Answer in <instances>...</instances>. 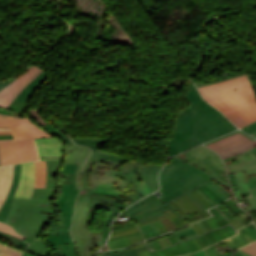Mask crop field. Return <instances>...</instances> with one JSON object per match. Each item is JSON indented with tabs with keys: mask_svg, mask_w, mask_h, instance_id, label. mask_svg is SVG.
<instances>
[{
	"mask_svg": "<svg viewBox=\"0 0 256 256\" xmlns=\"http://www.w3.org/2000/svg\"><path fill=\"white\" fill-rule=\"evenodd\" d=\"M199 189H201L205 194L208 195V197L213 200L216 204L224 201L222 198H220L215 192H213L208 186H206L205 184L198 187Z\"/></svg>",
	"mask_w": 256,
	"mask_h": 256,
	"instance_id": "d3111659",
	"label": "crop field"
},
{
	"mask_svg": "<svg viewBox=\"0 0 256 256\" xmlns=\"http://www.w3.org/2000/svg\"><path fill=\"white\" fill-rule=\"evenodd\" d=\"M186 99L189 106L178 113L173 136L169 140V156L237 129L201 98L194 84L189 85Z\"/></svg>",
	"mask_w": 256,
	"mask_h": 256,
	"instance_id": "8a807250",
	"label": "crop field"
},
{
	"mask_svg": "<svg viewBox=\"0 0 256 256\" xmlns=\"http://www.w3.org/2000/svg\"><path fill=\"white\" fill-rule=\"evenodd\" d=\"M15 141V140H0V142Z\"/></svg>",
	"mask_w": 256,
	"mask_h": 256,
	"instance_id": "db79e9e6",
	"label": "crop field"
},
{
	"mask_svg": "<svg viewBox=\"0 0 256 256\" xmlns=\"http://www.w3.org/2000/svg\"><path fill=\"white\" fill-rule=\"evenodd\" d=\"M24 256H31V255H29V254L25 253V255H24Z\"/></svg>",
	"mask_w": 256,
	"mask_h": 256,
	"instance_id": "78b8030e",
	"label": "crop field"
},
{
	"mask_svg": "<svg viewBox=\"0 0 256 256\" xmlns=\"http://www.w3.org/2000/svg\"><path fill=\"white\" fill-rule=\"evenodd\" d=\"M106 159L117 161V162H121V163H123V162H125L127 160V159H123V158H121V157H119L117 155L106 153V152L98 150V151L92 153V155L89 158V160L87 161V163H86L82 173H85V171H86V169H87V167H88L90 162H94V163H97V164H96V166L94 167V169L92 171V175H95L96 169ZM92 175H91V183H92Z\"/></svg>",
	"mask_w": 256,
	"mask_h": 256,
	"instance_id": "92a150f3",
	"label": "crop field"
},
{
	"mask_svg": "<svg viewBox=\"0 0 256 256\" xmlns=\"http://www.w3.org/2000/svg\"><path fill=\"white\" fill-rule=\"evenodd\" d=\"M244 248H246V249H248V250H250V251H252L256 254V247L254 245L250 244V245H248Z\"/></svg>",
	"mask_w": 256,
	"mask_h": 256,
	"instance_id": "5d738f31",
	"label": "crop field"
},
{
	"mask_svg": "<svg viewBox=\"0 0 256 256\" xmlns=\"http://www.w3.org/2000/svg\"><path fill=\"white\" fill-rule=\"evenodd\" d=\"M247 202H249L250 206L243 207L244 210L251 213L256 211V198L255 197H247Z\"/></svg>",
	"mask_w": 256,
	"mask_h": 256,
	"instance_id": "d32e631a",
	"label": "crop field"
},
{
	"mask_svg": "<svg viewBox=\"0 0 256 256\" xmlns=\"http://www.w3.org/2000/svg\"><path fill=\"white\" fill-rule=\"evenodd\" d=\"M41 128L45 129L47 132H49L53 137H60L62 139V141L65 144H74L68 137L67 135H65L64 133H62L61 131H59L57 128H55L52 125H46V126H42Z\"/></svg>",
	"mask_w": 256,
	"mask_h": 256,
	"instance_id": "730fd06b",
	"label": "crop field"
},
{
	"mask_svg": "<svg viewBox=\"0 0 256 256\" xmlns=\"http://www.w3.org/2000/svg\"><path fill=\"white\" fill-rule=\"evenodd\" d=\"M245 75H246V77H247V79H248L250 85L252 86L253 83H252V81H251L250 75H249V74H245ZM241 76H243V75H241ZM236 77H240V76H236ZM236 77H232V78H236ZM228 79H231V78H228ZM225 80H226V79H225ZM221 81H223V80H221ZM221 81H218V82H221ZM213 83H217V82H213ZM213 83H209V84H213ZM195 84H196L197 87L204 86V85H209V84H204L203 82L195 83ZM251 89H252V88H251ZM252 91H253V90H252ZM253 94H254V92H253ZM254 101H255V103H256L255 95H254Z\"/></svg>",
	"mask_w": 256,
	"mask_h": 256,
	"instance_id": "e1f06a70",
	"label": "crop field"
},
{
	"mask_svg": "<svg viewBox=\"0 0 256 256\" xmlns=\"http://www.w3.org/2000/svg\"><path fill=\"white\" fill-rule=\"evenodd\" d=\"M43 70H39L34 76H32L21 88H19L11 97L10 99L7 101V103L4 105V109L7 108V106L12 102V100L15 98V96L20 92V90L27 84L29 83L34 77H36L40 72H42ZM23 90V89H22ZM21 90V91H22Z\"/></svg>",
	"mask_w": 256,
	"mask_h": 256,
	"instance_id": "5866460e",
	"label": "crop field"
},
{
	"mask_svg": "<svg viewBox=\"0 0 256 256\" xmlns=\"http://www.w3.org/2000/svg\"><path fill=\"white\" fill-rule=\"evenodd\" d=\"M240 250H242V251H244V252H246V253H248V254H250V255H252V256H256L255 254H253L252 252H250V251H248V250H246V249H244V248H242V249H240Z\"/></svg>",
	"mask_w": 256,
	"mask_h": 256,
	"instance_id": "73cf0c24",
	"label": "crop field"
},
{
	"mask_svg": "<svg viewBox=\"0 0 256 256\" xmlns=\"http://www.w3.org/2000/svg\"><path fill=\"white\" fill-rule=\"evenodd\" d=\"M117 190L120 193L118 196L93 195L88 204L89 207L104 208V209L111 210L104 222V227H103L104 243L107 239L108 233L110 232V226L112 224L113 219L116 217L118 213H120L122 210L128 207L121 202L125 200L128 202L132 201L124 197L123 196L124 193L120 189H117Z\"/></svg>",
	"mask_w": 256,
	"mask_h": 256,
	"instance_id": "28ad6ade",
	"label": "crop field"
},
{
	"mask_svg": "<svg viewBox=\"0 0 256 256\" xmlns=\"http://www.w3.org/2000/svg\"><path fill=\"white\" fill-rule=\"evenodd\" d=\"M87 203L77 202L71 233L77 245L79 256H92L104 245L102 233L93 235L89 230L95 208L86 207Z\"/></svg>",
	"mask_w": 256,
	"mask_h": 256,
	"instance_id": "e52e79f7",
	"label": "crop field"
},
{
	"mask_svg": "<svg viewBox=\"0 0 256 256\" xmlns=\"http://www.w3.org/2000/svg\"><path fill=\"white\" fill-rule=\"evenodd\" d=\"M46 75L47 72L44 70L41 74H39L35 79H33L28 85H26L23 88V90L16 96V98L13 100V102L8 106L6 110L0 108V113L24 117V114L18 113L19 110L24 104L27 96L31 93L35 86L44 79Z\"/></svg>",
	"mask_w": 256,
	"mask_h": 256,
	"instance_id": "22f410ed",
	"label": "crop field"
},
{
	"mask_svg": "<svg viewBox=\"0 0 256 256\" xmlns=\"http://www.w3.org/2000/svg\"><path fill=\"white\" fill-rule=\"evenodd\" d=\"M0 131H10L9 128H0Z\"/></svg>",
	"mask_w": 256,
	"mask_h": 256,
	"instance_id": "1d79db26",
	"label": "crop field"
},
{
	"mask_svg": "<svg viewBox=\"0 0 256 256\" xmlns=\"http://www.w3.org/2000/svg\"><path fill=\"white\" fill-rule=\"evenodd\" d=\"M46 78H47V76H46ZM46 78H45L43 81H45ZM43 81H42V82H43ZM42 82H40V83L37 85V87L40 86ZM37 87H36V88H37ZM36 88H35V89H36ZM35 89L32 91V93L35 91ZM32 93L29 95V97L32 95ZM29 97H28L27 101L25 102L24 106L22 107V109L20 110L19 113H24V110H25V108H26V106H27Z\"/></svg>",
	"mask_w": 256,
	"mask_h": 256,
	"instance_id": "03da06ac",
	"label": "crop field"
},
{
	"mask_svg": "<svg viewBox=\"0 0 256 256\" xmlns=\"http://www.w3.org/2000/svg\"><path fill=\"white\" fill-rule=\"evenodd\" d=\"M127 187H128V188L130 189V191H131L130 193H128V194L125 195L127 198H129V199L132 200L133 202H135V201L141 199V198L134 192V190L132 189V187L130 186V184L127 185Z\"/></svg>",
	"mask_w": 256,
	"mask_h": 256,
	"instance_id": "028f5c9d",
	"label": "crop field"
},
{
	"mask_svg": "<svg viewBox=\"0 0 256 256\" xmlns=\"http://www.w3.org/2000/svg\"><path fill=\"white\" fill-rule=\"evenodd\" d=\"M228 173L256 169V156L249 152L238 158L224 162Z\"/></svg>",
	"mask_w": 256,
	"mask_h": 256,
	"instance_id": "733c2abd",
	"label": "crop field"
},
{
	"mask_svg": "<svg viewBox=\"0 0 256 256\" xmlns=\"http://www.w3.org/2000/svg\"><path fill=\"white\" fill-rule=\"evenodd\" d=\"M78 144L88 145L93 151L97 150L106 139L98 138H72Z\"/></svg>",
	"mask_w": 256,
	"mask_h": 256,
	"instance_id": "a9b5d70f",
	"label": "crop field"
},
{
	"mask_svg": "<svg viewBox=\"0 0 256 256\" xmlns=\"http://www.w3.org/2000/svg\"><path fill=\"white\" fill-rule=\"evenodd\" d=\"M40 68L36 66H30V68L27 70L25 74H23L21 77L13 81L11 84H9L7 88L9 91L6 92L1 98H0V107L5 104V102L8 100V98L19 88L21 87L32 75H34Z\"/></svg>",
	"mask_w": 256,
	"mask_h": 256,
	"instance_id": "4a817a6b",
	"label": "crop field"
},
{
	"mask_svg": "<svg viewBox=\"0 0 256 256\" xmlns=\"http://www.w3.org/2000/svg\"><path fill=\"white\" fill-rule=\"evenodd\" d=\"M146 248H147V246L144 245L140 248H135L133 250L123 251V252H119V253L105 254V255H100V256H137L135 251L146 249Z\"/></svg>",
	"mask_w": 256,
	"mask_h": 256,
	"instance_id": "750c4746",
	"label": "crop field"
},
{
	"mask_svg": "<svg viewBox=\"0 0 256 256\" xmlns=\"http://www.w3.org/2000/svg\"><path fill=\"white\" fill-rule=\"evenodd\" d=\"M0 238L8 240V241H11V242H13V243L23 247V248L26 247V245H27L25 242H23V241H21V240H19L17 238H14V237H12L10 235L1 233V232H0Z\"/></svg>",
	"mask_w": 256,
	"mask_h": 256,
	"instance_id": "1d83c4d3",
	"label": "crop field"
},
{
	"mask_svg": "<svg viewBox=\"0 0 256 256\" xmlns=\"http://www.w3.org/2000/svg\"><path fill=\"white\" fill-rule=\"evenodd\" d=\"M35 187H45L46 184V163L45 161L35 162Z\"/></svg>",
	"mask_w": 256,
	"mask_h": 256,
	"instance_id": "dafd665d",
	"label": "crop field"
},
{
	"mask_svg": "<svg viewBox=\"0 0 256 256\" xmlns=\"http://www.w3.org/2000/svg\"><path fill=\"white\" fill-rule=\"evenodd\" d=\"M0 166H1V157H0Z\"/></svg>",
	"mask_w": 256,
	"mask_h": 256,
	"instance_id": "e1d0b9f6",
	"label": "crop field"
},
{
	"mask_svg": "<svg viewBox=\"0 0 256 256\" xmlns=\"http://www.w3.org/2000/svg\"><path fill=\"white\" fill-rule=\"evenodd\" d=\"M2 165L38 159L33 139L21 142L0 143Z\"/></svg>",
	"mask_w": 256,
	"mask_h": 256,
	"instance_id": "3316defc",
	"label": "crop field"
},
{
	"mask_svg": "<svg viewBox=\"0 0 256 256\" xmlns=\"http://www.w3.org/2000/svg\"><path fill=\"white\" fill-rule=\"evenodd\" d=\"M14 79H16V78H13V79L8 80V81H6V82H1V84L5 87V86L8 85L10 82H12Z\"/></svg>",
	"mask_w": 256,
	"mask_h": 256,
	"instance_id": "425ffa30",
	"label": "crop field"
},
{
	"mask_svg": "<svg viewBox=\"0 0 256 256\" xmlns=\"http://www.w3.org/2000/svg\"><path fill=\"white\" fill-rule=\"evenodd\" d=\"M2 88H4V87H2V86L0 85V90H1Z\"/></svg>",
	"mask_w": 256,
	"mask_h": 256,
	"instance_id": "0f1d7ab4",
	"label": "crop field"
},
{
	"mask_svg": "<svg viewBox=\"0 0 256 256\" xmlns=\"http://www.w3.org/2000/svg\"><path fill=\"white\" fill-rule=\"evenodd\" d=\"M44 160H61V159H44Z\"/></svg>",
	"mask_w": 256,
	"mask_h": 256,
	"instance_id": "7b73153f",
	"label": "crop field"
},
{
	"mask_svg": "<svg viewBox=\"0 0 256 256\" xmlns=\"http://www.w3.org/2000/svg\"><path fill=\"white\" fill-rule=\"evenodd\" d=\"M176 157L205 170L216 180L230 187L224 165L219 156L212 150L200 145Z\"/></svg>",
	"mask_w": 256,
	"mask_h": 256,
	"instance_id": "d8731c3e",
	"label": "crop field"
},
{
	"mask_svg": "<svg viewBox=\"0 0 256 256\" xmlns=\"http://www.w3.org/2000/svg\"><path fill=\"white\" fill-rule=\"evenodd\" d=\"M163 167L158 164H142L130 161L123 165L106 160L93 176V186H82L77 201L88 202L92 194L118 195L117 188L130 192L125 184L134 183L144 195L159 188L157 173Z\"/></svg>",
	"mask_w": 256,
	"mask_h": 256,
	"instance_id": "34b2d1b8",
	"label": "crop field"
},
{
	"mask_svg": "<svg viewBox=\"0 0 256 256\" xmlns=\"http://www.w3.org/2000/svg\"><path fill=\"white\" fill-rule=\"evenodd\" d=\"M249 215L247 213L243 214V215H239L237 217H239L240 219L244 220L248 217Z\"/></svg>",
	"mask_w": 256,
	"mask_h": 256,
	"instance_id": "25e5ab78",
	"label": "crop field"
},
{
	"mask_svg": "<svg viewBox=\"0 0 256 256\" xmlns=\"http://www.w3.org/2000/svg\"><path fill=\"white\" fill-rule=\"evenodd\" d=\"M205 145L218 152L222 160L256 146V140L242 131L231 133Z\"/></svg>",
	"mask_w": 256,
	"mask_h": 256,
	"instance_id": "5a996713",
	"label": "crop field"
},
{
	"mask_svg": "<svg viewBox=\"0 0 256 256\" xmlns=\"http://www.w3.org/2000/svg\"><path fill=\"white\" fill-rule=\"evenodd\" d=\"M89 154L90 149L87 147L77 145L65 146V166L60 174L59 183V188L61 190L59 205L68 228H70L74 201L80 190L79 173Z\"/></svg>",
	"mask_w": 256,
	"mask_h": 256,
	"instance_id": "f4fd0767",
	"label": "crop field"
},
{
	"mask_svg": "<svg viewBox=\"0 0 256 256\" xmlns=\"http://www.w3.org/2000/svg\"><path fill=\"white\" fill-rule=\"evenodd\" d=\"M197 193H199L207 202H209L212 206L216 205L213 201H211L202 191L198 188L194 189Z\"/></svg>",
	"mask_w": 256,
	"mask_h": 256,
	"instance_id": "c035e120",
	"label": "crop field"
},
{
	"mask_svg": "<svg viewBox=\"0 0 256 256\" xmlns=\"http://www.w3.org/2000/svg\"><path fill=\"white\" fill-rule=\"evenodd\" d=\"M209 179L211 177L203 171L175 159L164 166L160 173L159 191L165 195L161 199L168 202Z\"/></svg>",
	"mask_w": 256,
	"mask_h": 256,
	"instance_id": "dd49c442",
	"label": "crop field"
},
{
	"mask_svg": "<svg viewBox=\"0 0 256 256\" xmlns=\"http://www.w3.org/2000/svg\"><path fill=\"white\" fill-rule=\"evenodd\" d=\"M160 204H163V202H161L160 199L158 198V199H156L155 201H153V202L147 204L146 206L140 208L139 210H137V211H135V212L128 213V214H126V215H129V214L133 215V214H136V213H140V212H142V211H144V210L151 209V208H153V207H155V206H158V205H160ZM121 216H125V215H121Z\"/></svg>",
	"mask_w": 256,
	"mask_h": 256,
	"instance_id": "bd1437ed",
	"label": "crop field"
},
{
	"mask_svg": "<svg viewBox=\"0 0 256 256\" xmlns=\"http://www.w3.org/2000/svg\"><path fill=\"white\" fill-rule=\"evenodd\" d=\"M52 256H77L74 245H63L54 247Z\"/></svg>",
	"mask_w": 256,
	"mask_h": 256,
	"instance_id": "4177f3b9",
	"label": "crop field"
},
{
	"mask_svg": "<svg viewBox=\"0 0 256 256\" xmlns=\"http://www.w3.org/2000/svg\"><path fill=\"white\" fill-rule=\"evenodd\" d=\"M0 139H14L13 135L0 136Z\"/></svg>",
	"mask_w": 256,
	"mask_h": 256,
	"instance_id": "d23c7cc5",
	"label": "crop field"
},
{
	"mask_svg": "<svg viewBox=\"0 0 256 256\" xmlns=\"http://www.w3.org/2000/svg\"><path fill=\"white\" fill-rule=\"evenodd\" d=\"M12 134L11 132H0V135Z\"/></svg>",
	"mask_w": 256,
	"mask_h": 256,
	"instance_id": "9d1cf04e",
	"label": "crop field"
},
{
	"mask_svg": "<svg viewBox=\"0 0 256 256\" xmlns=\"http://www.w3.org/2000/svg\"><path fill=\"white\" fill-rule=\"evenodd\" d=\"M40 158H63V157H40Z\"/></svg>",
	"mask_w": 256,
	"mask_h": 256,
	"instance_id": "0765c3eb",
	"label": "crop field"
},
{
	"mask_svg": "<svg viewBox=\"0 0 256 256\" xmlns=\"http://www.w3.org/2000/svg\"><path fill=\"white\" fill-rule=\"evenodd\" d=\"M47 162V184L46 188H35L31 199L15 198L9 217L5 223L14 227L16 232L25 235V241L30 245V250L40 256H49L50 250L47 248L42 238H37L49 213L56 211L51 208V201L57 191L55 183L58 168L61 161Z\"/></svg>",
	"mask_w": 256,
	"mask_h": 256,
	"instance_id": "ac0d7876",
	"label": "crop field"
},
{
	"mask_svg": "<svg viewBox=\"0 0 256 256\" xmlns=\"http://www.w3.org/2000/svg\"><path fill=\"white\" fill-rule=\"evenodd\" d=\"M47 242L49 246L63 245V244H74L70 234L64 235H48Z\"/></svg>",
	"mask_w": 256,
	"mask_h": 256,
	"instance_id": "00972430",
	"label": "crop field"
},
{
	"mask_svg": "<svg viewBox=\"0 0 256 256\" xmlns=\"http://www.w3.org/2000/svg\"><path fill=\"white\" fill-rule=\"evenodd\" d=\"M182 245L185 247V249L188 251V253H191L190 249L185 245L184 242H182Z\"/></svg>",
	"mask_w": 256,
	"mask_h": 256,
	"instance_id": "dbb93151",
	"label": "crop field"
},
{
	"mask_svg": "<svg viewBox=\"0 0 256 256\" xmlns=\"http://www.w3.org/2000/svg\"><path fill=\"white\" fill-rule=\"evenodd\" d=\"M34 162L22 163L21 181L15 197L30 198L34 189Z\"/></svg>",
	"mask_w": 256,
	"mask_h": 256,
	"instance_id": "cbeb9de0",
	"label": "crop field"
},
{
	"mask_svg": "<svg viewBox=\"0 0 256 256\" xmlns=\"http://www.w3.org/2000/svg\"><path fill=\"white\" fill-rule=\"evenodd\" d=\"M0 231H1V232H4V233H7V234H10V235H13V236H15V237H17V238H20V239H22V240H23V238H24V237H22V236L16 234V233L14 232V230H13L12 227H10V226H8V225H6V224H3V223H0Z\"/></svg>",
	"mask_w": 256,
	"mask_h": 256,
	"instance_id": "120bbe31",
	"label": "crop field"
},
{
	"mask_svg": "<svg viewBox=\"0 0 256 256\" xmlns=\"http://www.w3.org/2000/svg\"><path fill=\"white\" fill-rule=\"evenodd\" d=\"M199 90L209 103L239 128L256 121V104L245 76L200 87Z\"/></svg>",
	"mask_w": 256,
	"mask_h": 256,
	"instance_id": "412701ff",
	"label": "crop field"
},
{
	"mask_svg": "<svg viewBox=\"0 0 256 256\" xmlns=\"http://www.w3.org/2000/svg\"><path fill=\"white\" fill-rule=\"evenodd\" d=\"M210 183H212L214 186H216L217 188H219L223 193H225L228 197H230V193L228 191H226L223 187H221L218 183L213 182V181H209Z\"/></svg>",
	"mask_w": 256,
	"mask_h": 256,
	"instance_id": "c21b1889",
	"label": "crop field"
},
{
	"mask_svg": "<svg viewBox=\"0 0 256 256\" xmlns=\"http://www.w3.org/2000/svg\"><path fill=\"white\" fill-rule=\"evenodd\" d=\"M13 172V165L0 167V208L10 189Z\"/></svg>",
	"mask_w": 256,
	"mask_h": 256,
	"instance_id": "214f88e0",
	"label": "crop field"
},
{
	"mask_svg": "<svg viewBox=\"0 0 256 256\" xmlns=\"http://www.w3.org/2000/svg\"><path fill=\"white\" fill-rule=\"evenodd\" d=\"M0 127H10L16 141L39 137H52L30 118L19 120L0 119Z\"/></svg>",
	"mask_w": 256,
	"mask_h": 256,
	"instance_id": "d1516ede",
	"label": "crop field"
},
{
	"mask_svg": "<svg viewBox=\"0 0 256 256\" xmlns=\"http://www.w3.org/2000/svg\"><path fill=\"white\" fill-rule=\"evenodd\" d=\"M248 133H250L251 135H253L254 137H256V123L242 129Z\"/></svg>",
	"mask_w": 256,
	"mask_h": 256,
	"instance_id": "0bd39190",
	"label": "crop field"
},
{
	"mask_svg": "<svg viewBox=\"0 0 256 256\" xmlns=\"http://www.w3.org/2000/svg\"><path fill=\"white\" fill-rule=\"evenodd\" d=\"M39 149L40 156H63L64 145L61 139L56 138H39L35 139Z\"/></svg>",
	"mask_w": 256,
	"mask_h": 256,
	"instance_id": "d9b57169",
	"label": "crop field"
},
{
	"mask_svg": "<svg viewBox=\"0 0 256 256\" xmlns=\"http://www.w3.org/2000/svg\"><path fill=\"white\" fill-rule=\"evenodd\" d=\"M240 190L234 191L238 202L244 201V193L249 192L247 183L249 182L251 196H256V170L235 173Z\"/></svg>",
	"mask_w": 256,
	"mask_h": 256,
	"instance_id": "5142ce71",
	"label": "crop field"
},
{
	"mask_svg": "<svg viewBox=\"0 0 256 256\" xmlns=\"http://www.w3.org/2000/svg\"><path fill=\"white\" fill-rule=\"evenodd\" d=\"M252 244H254V245L256 246V242H254V243H252Z\"/></svg>",
	"mask_w": 256,
	"mask_h": 256,
	"instance_id": "ae633e8c",
	"label": "crop field"
},
{
	"mask_svg": "<svg viewBox=\"0 0 256 256\" xmlns=\"http://www.w3.org/2000/svg\"><path fill=\"white\" fill-rule=\"evenodd\" d=\"M237 252H239L241 255H243V256H249V255H247V254H245L244 252H242V251H240V250H236Z\"/></svg>",
	"mask_w": 256,
	"mask_h": 256,
	"instance_id": "0fb4a251",
	"label": "crop field"
},
{
	"mask_svg": "<svg viewBox=\"0 0 256 256\" xmlns=\"http://www.w3.org/2000/svg\"><path fill=\"white\" fill-rule=\"evenodd\" d=\"M251 152H253L256 155V147L251 149Z\"/></svg>",
	"mask_w": 256,
	"mask_h": 256,
	"instance_id": "447ae74e",
	"label": "crop field"
},
{
	"mask_svg": "<svg viewBox=\"0 0 256 256\" xmlns=\"http://www.w3.org/2000/svg\"><path fill=\"white\" fill-rule=\"evenodd\" d=\"M0 118H2V119H19L21 117H14V116H10V115L0 114Z\"/></svg>",
	"mask_w": 256,
	"mask_h": 256,
	"instance_id": "b54c1fbb",
	"label": "crop field"
},
{
	"mask_svg": "<svg viewBox=\"0 0 256 256\" xmlns=\"http://www.w3.org/2000/svg\"><path fill=\"white\" fill-rule=\"evenodd\" d=\"M208 185L213 191H215L219 196H221L224 200L228 199L226 195H224L220 190H218L216 187H214L212 184L209 182L205 183Z\"/></svg>",
	"mask_w": 256,
	"mask_h": 256,
	"instance_id": "b80d0937",
	"label": "crop field"
},
{
	"mask_svg": "<svg viewBox=\"0 0 256 256\" xmlns=\"http://www.w3.org/2000/svg\"><path fill=\"white\" fill-rule=\"evenodd\" d=\"M156 198H158V197H156L154 194H151V195L147 196L146 198H144V199L138 201L136 204H134L133 206L129 207L128 209H126V210H125L124 212H122L121 214H125V213H127V212L134 211V210H136V209H138V208H140V207L146 205L147 203H149V202L155 200ZM121 214H120V215H121Z\"/></svg>",
	"mask_w": 256,
	"mask_h": 256,
	"instance_id": "ae1a2a85",
	"label": "crop field"
},
{
	"mask_svg": "<svg viewBox=\"0 0 256 256\" xmlns=\"http://www.w3.org/2000/svg\"><path fill=\"white\" fill-rule=\"evenodd\" d=\"M81 185H85L84 174H81Z\"/></svg>",
	"mask_w": 256,
	"mask_h": 256,
	"instance_id": "1f2cbd36",
	"label": "crop field"
},
{
	"mask_svg": "<svg viewBox=\"0 0 256 256\" xmlns=\"http://www.w3.org/2000/svg\"><path fill=\"white\" fill-rule=\"evenodd\" d=\"M15 172H14V177H13V182H12V187L11 190L5 200L4 205L2 206L0 210V220L4 221L10 207L12 204V200L14 198V194L17 190L19 181H20V175H21V164L14 165ZM9 214V213H8Z\"/></svg>",
	"mask_w": 256,
	"mask_h": 256,
	"instance_id": "bc2a9ffb",
	"label": "crop field"
},
{
	"mask_svg": "<svg viewBox=\"0 0 256 256\" xmlns=\"http://www.w3.org/2000/svg\"><path fill=\"white\" fill-rule=\"evenodd\" d=\"M247 152H249V150L246 151V152L240 153V154H238V155H235V156H233V157H231V158H228V159H226V160L233 159V158H235V157H237V156H240V155H242V154H245V153H247ZM224 161H225V160H224Z\"/></svg>",
	"mask_w": 256,
	"mask_h": 256,
	"instance_id": "89e229c0",
	"label": "crop field"
},
{
	"mask_svg": "<svg viewBox=\"0 0 256 256\" xmlns=\"http://www.w3.org/2000/svg\"><path fill=\"white\" fill-rule=\"evenodd\" d=\"M0 256H22V250L0 242Z\"/></svg>",
	"mask_w": 256,
	"mask_h": 256,
	"instance_id": "eef30255",
	"label": "crop field"
}]
</instances>
